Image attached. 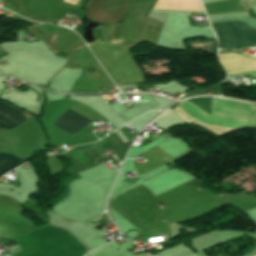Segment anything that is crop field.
Wrapping results in <instances>:
<instances>
[{
  "label": "crop field",
  "instance_id": "2",
  "mask_svg": "<svg viewBox=\"0 0 256 256\" xmlns=\"http://www.w3.org/2000/svg\"><path fill=\"white\" fill-rule=\"evenodd\" d=\"M27 113L21 112L12 106L0 102V129L9 130L20 125L27 118L32 117Z\"/></svg>",
  "mask_w": 256,
  "mask_h": 256
},
{
  "label": "crop field",
  "instance_id": "4",
  "mask_svg": "<svg viewBox=\"0 0 256 256\" xmlns=\"http://www.w3.org/2000/svg\"><path fill=\"white\" fill-rule=\"evenodd\" d=\"M21 162H23V160L13 155L0 153V175Z\"/></svg>",
  "mask_w": 256,
  "mask_h": 256
},
{
  "label": "crop field",
  "instance_id": "1",
  "mask_svg": "<svg viewBox=\"0 0 256 256\" xmlns=\"http://www.w3.org/2000/svg\"><path fill=\"white\" fill-rule=\"evenodd\" d=\"M211 25L220 49H236V47L256 44V30L243 22L233 21Z\"/></svg>",
  "mask_w": 256,
  "mask_h": 256
},
{
  "label": "crop field",
  "instance_id": "3",
  "mask_svg": "<svg viewBox=\"0 0 256 256\" xmlns=\"http://www.w3.org/2000/svg\"><path fill=\"white\" fill-rule=\"evenodd\" d=\"M90 122V120L68 109L67 112L54 123V125L73 135Z\"/></svg>",
  "mask_w": 256,
  "mask_h": 256
}]
</instances>
